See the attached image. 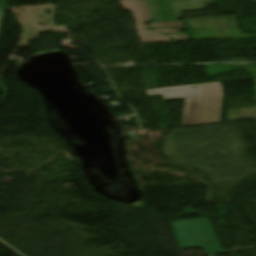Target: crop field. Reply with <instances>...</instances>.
Wrapping results in <instances>:
<instances>
[{"instance_id":"obj_1","label":"crop field","mask_w":256,"mask_h":256,"mask_svg":"<svg viewBox=\"0 0 256 256\" xmlns=\"http://www.w3.org/2000/svg\"><path fill=\"white\" fill-rule=\"evenodd\" d=\"M146 90L149 96L165 99L186 97L182 126L220 122L222 109L221 83Z\"/></svg>"},{"instance_id":"obj_2","label":"crop field","mask_w":256,"mask_h":256,"mask_svg":"<svg viewBox=\"0 0 256 256\" xmlns=\"http://www.w3.org/2000/svg\"><path fill=\"white\" fill-rule=\"evenodd\" d=\"M171 224L182 248L204 247L207 255L224 252L208 218Z\"/></svg>"},{"instance_id":"obj_3","label":"crop field","mask_w":256,"mask_h":256,"mask_svg":"<svg viewBox=\"0 0 256 256\" xmlns=\"http://www.w3.org/2000/svg\"><path fill=\"white\" fill-rule=\"evenodd\" d=\"M3 18H4V9H0V29L2 27Z\"/></svg>"},{"instance_id":"obj_4","label":"crop field","mask_w":256,"mask_h":256,"mask_svg":"<svg viewBox=\"0 0 256 256\" xmlns=\"http://www.w3.org/2000/svg\"><path fill=\"white\" fill-rule=\"evenodd\" d=\"M255 89H256V86H255Z\"/></svg>"}]
</instances>
